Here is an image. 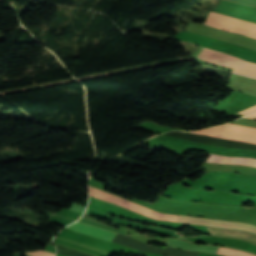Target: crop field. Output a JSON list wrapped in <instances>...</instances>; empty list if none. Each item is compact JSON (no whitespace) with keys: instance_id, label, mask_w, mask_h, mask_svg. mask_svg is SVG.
<instances>
[{"instance_id":"7","label":"crop field","mask_w":256,"mask_h":256,"mask_svg":"<svg viewBox=\"0 0 256 256\" xmlns=\"http://www.w3.org/2000/svg\"><path fill=\"white\" fill-rule=\"evenodd\" d=\"M207 228L209 229L211 235L242 238V239H245L247 241L256 243V235L247 233L245 231L221 229V228H213V227H207Z\"/></svg>"},{"instance_id":"10","label":"crop field","mask_w":256,"mask_h":256,"mask_svg":"<svg viewBox=\"0 0 256 256\" xmlns=\"http://www.w3.org/2000/svg\"><path fill=\"white\" fill-rule=\"evenodd\" d=\"M247 118H252V119H256V112L251 114V115H248L246 116Z\"/></svg>"},{"instance_id":"1","label":"crop field","mask_w":256,"mask_h":256,"mask_svg":"<svg viewBox=\"0 0 256 256\" xmlns=\"http://www.w3.org/2000/svg\"><path fill=\"white\" fill-rule=\"evenodd\" d=\"M215 13L256 23V7L222 0ZM210 12L205 24L256 38V24Z\"/></svg>"},{"instance_id":"6","label":"crop field","mask_w":256,"mask_h":256,"mask_svg":"<svg viewBox=\"0 0 256 256\" xmlns=\"http://www.w3.org/2000/svg\"><path fill=\"white\" fill-rule=\"evenodd\" d=\"M66 228H69V229H72V230H75V231H78V232H81L84 234H88V235H91V236H94V237H97L100 239L108 240V241H111L117 235V233L102 230V229L88 226L85 224H81L78 222H75V223L67 226Z\"/></svg>"},{"instance_id":"9","label":"crop field","mask_w":256,"mask_h":256,"mask_svg":"<svg viewBox=\"0 0 256 256\" xmlns=\"http://www.w3.org/2000/svg\"><path fill=\"white\" fill-rule=\"evenodd\" d=\"M254 111H256V105H255V106H252V107H250V108H248V109H245V110H243V111H240V112H238V113L247 115V114L252 113V112H254Z\"/></svg>"},{"instance_id":"11","label":"crop field","mask_w":256,"mask_h":256,"mask_svg":"<svg viewBox=\"0 0 256 256\" xmlns=\"http://www.w3.org/2000/svg\"><path fill=\"white\" fill-rule=\"evenodd\" d=\"M255 167H256V163H255V165H254Z\"/></svg>"},{"instance_id":"4","label":"crop field","mask_w":256,"mask_h":256,"mask_svg":"<svg viewBox=\"0 0 256 256\" xmlns=\"http://www.w3.org/2000/svg\"><path fill=\"white\" fill-rule=\"evenodd\" d=\"M166 246L181 248V249H186L191 251L210 252V253H216V254L219 248V247H213V246L194 245L191 243H187L183 240H177V239H167ZM218 254L228 255V256H255L247 252L232 250V249H225V248H220Z\"/></svg>"},{"instance_id":"2","label":"crop field","mask_w":256,"mask_h":256,"mask_svg":"<svg viewBox=\"0 0 256 256\" xmlns=\"http://www.w3.org/2000/svg\"><path fill=\"white\" fill-rule=\"evenodd\" d=\"M198 58L211 63L228 66L233 69L245 61L243 59L232 57L228 54H224L221 52H217V51H213L205 48H203V50L200 52V54L198 55ZM233 73L256 78V64L246 61L243 64H241L239 67L234 69Z\"/></svg>"},{"instance_id":"3","label":"crop field","mask_w":256,"mask_h":256,"mask_svg":"<svg viewBox=\"0 0 256 256\" xmlns=\"http://www.w3.org/2000/svg\"><path fill=\"white\" fill-rule=\"evenodd\" d=\"M89 192H90V195H93V196H95L97 198H100V199H103V200L115 203V204L120 205V206H122L124 208H127L129 210H132V211L144 214L146 216H149V217H151L153 219L163 220V221H172V222H177L178 221V217L179 216H176V215H165V214L157 213L155 211H152V210H149V209H147L145 207H142V206H140V205H138V204H136L134 202H130V201L121 199L119 197H116L114 195H111L109 193L101 191L99 189H96V188H94L92 186H89Z\"/></svg>"},{"instance_id":"8","label":"crop field","mask_w":256,"mask_h":256,"mask_svg":"<svg viewBox=\"0 0 256 256\" xmlns=\"http://www.w3.org/2000/svg\"><path fill=\"white\" fill-rule=\"evenodd\" d=\"M28 255H32V256H54V253H50V252H46V251H35V252H31V253H26Z\"/></svg>"},{"instance_id":"5","label":"crop field","mask_w":256,"mask_h":256,"mask_svg":"<svg viewBox=\"0 0 256 256\" xmlns=\"http://www.w3.org/2000/svg\"><path fill=\"white\" fill-rule=\"evenodd\" d=\"M182 223L189 224H199V225H208L214 227H223L231 229H242L256 234V227L248 224L235 223L230 221L223 220H214V219H202V218H190V217H179V221Z\"/></svg>"}]
</instances>
